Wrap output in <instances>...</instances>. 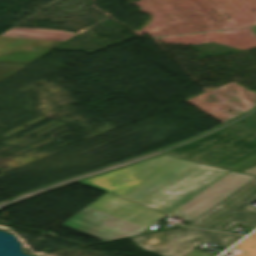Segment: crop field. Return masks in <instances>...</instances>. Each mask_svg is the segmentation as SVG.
Segmentation results:
<instances>
[{
	"label": "crop field",
	"mask_w": 256,
	"mask_h": 256,
	"mask_svg": "<svg viewBox=\"0 0 256 256\" xmlns=\"http://www.w3.org/2000/svg\"><path fill=\"white\" fill-rule=\"evenodd\" d=\"M242 173H246V174H250V175H255L256 176V166L242 172Z\"/></svg>",
	"instance_id": "crop-field-9"
},
{
	"label": "crop field",
	"mask_w": 256,
	"mask_h": 256,
	"mask_svg": "<svg viewBox=\"0 0 256 256\" xmlns=\"http://www.w3.org/2000/svg\"><path fill=\"white\" fill-rule=\"evenodd\" d=\"M256 200V178L239 188L188 226L226 232L236 224L256 228V208L248 206Z\"/></svg>",
	"instance_id": "crop-field-4"
},
{
	"label": "crop field",
	"mask_w": 256,
	"mask_h": 256,
	"mask_svg": "<svg viewBox=\"0 0 256 256\" xmlns=\"http://www.w3.org/2000/svg\"><path fill=\"white\" fill-rule=\"evenodd\" d=\"M250 28H251L252 31L256 34V26H251Z\"/></svg>",
	"instance_id": "crop-field-10"
},
{
	"label": "crop field",
	"mask_w": 256,
	"mask_h": 256,
	"mask_svg": "<svg viewBox=\"0 0 256 256\" xmlns=\"http://www.w3.org/2000/svg\"><path fill=\"white\" fill-rule=\"evenodd\" d=\"M164 215L106 194L61 226L107 241L135 235Z\"/></svg>",
	"instance_id": "crop-field-2"
},
{
	"label": "crop field",
	"mask_w": 256,
	"mask_h": 256,
	"mask_svg": "<svg viewBox=\"0 0 256 256\" xmlns=\"http://www.w3.org/2000/svg\"><path fill=\"white\" fill-rule=\"evenodd\" d=\"M26 65H4L0 64V81L12 75Z\"/></svg>",
	"instance_id": "crop-field-8"
},
{
	"label": "crop field",
	"mask_w": 256,
	"mask_h": 256,
	"mask_svg": "<svg viewBox=\"0 0 256 256\" xmlns=\"http://www.w3.org/2000/svg\"><path fill=\"white\" fill-rule=\"evenodd\" d=\"M235 247L241 249V252L235 256H256V233L243 240Z\"/></svg>",
	"instance_id": "crop-field-7"
},
{
	"label": "crop field",
	"mask_w": 256,
	"mask_h": 256,
	"mask_svg": "<svg viewBox=\"0 0 256 256\" xmlns=\"http://www.w3.org/2000/svg\"><path fill=\"white\" fill-rule=\"evenodd\" d=\"M241 236L182 228L130 238L140 249L159 256H184L203 242L226 249Z\"/></svg>",
	"instance_id": "crop-field-3"
},
{
	"label": "crop field",
	"mask_w": 256,
	"mask_h": 256,
	"mask_svg": "<svg viewBox=\"0 0 256 256\" xmlns=\"http://www.w3.org/2000/svg\"><path fill=\"white\" fill-rule=\"evenodd\" d=\"M74 34L12 28L0 36V62L30 63Z\"/></svg>",
	"instance_id": "crop-field-5"
},
{
	"label": "crop field",
	"mask_w": 256,
	"mask_h": 256,
	"mask_svg": "<svg viewBox=\"0 0 256 256\" xmlns=\"http://www.w3.org/2000/svg\"><path fill=\"white\" fill-rule=\"evenodd\" d=\"M253 178L230 171L169 214L184 215L190 222Z\"/></svg>",
	"instance_id": "crop-field-6"
},
{
	"label": "crop field",
	"mask_w": 256,
	"mask_h": 256,
	"mask_svg": "<svg viewBox=\"0 0 256 256\" xmlns=\"http://www.w3.org/2000/svg\"><path fill=\"white\" fill-rule=\"evenodd\" d=\"M227 172L161 156L79 183L168 214Z\"/></svg>",
	"instance_id": "crop-field-1"
}]
</instances>
